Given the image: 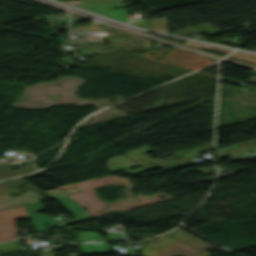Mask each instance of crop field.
I'll return each mask as SVG.
<instances>
[{"instance_id": "crop-field-1", "label": "crop field", "mask_w": 256, "mask_h": 256, "mask_svg": "<svg viewBox=\"0 0 256 256\" xmlns=\"http://www.w3.org/2000/svg\"><path fill=\"white\" fill-rule=\"evenodd\" d=\"M159 237L141 246V256H211L204 250L214 248L178 228Z\"/></svg>"}, {"instance_id": "crop-field-2", "label": "crop field", "mask_w": 256, "mask_h": 256, "mask_svg": "<svg viewBox=\"0 0 256 256\" xmlns=\"http://www.w3.org/2000/svg\"><path fill=\"white\" fill-rule=\"evenodd\" d=\"M153 151L150 147L145 146L129 151L126 154L107 159V166L110 172L133 167L143 166L151 163L162 162L163 160L151 159L144 153Z\"/></svg>"}, {"instance_id": "crop-field-3", "label": "crop field", "mask_w": 256, "mask_h": 256, "mask_svg": "<svg viewBox=\"0 0 256 256\" xmlns=\"http://www.w3.org/2000/svg\"><path fill=\"white\" fill-rule=\"evenodd\" d=\"M29 218L25 206L0 211V241L16 238L14 219Z\"/></svg>"}, {"instance_id": "crop-field-4", "label": "crop field", "mask_w": 256, "mask_h": 256, "mask_svg": "<svg viewBox=\"0 0 256 256\" xmlns=\"http://www.w3.org/2000/svg\"><path fill=\"white\" fill-rule=\"evenodd\" d=\"M44 200L43 196L33 191H26L16 197L8 195V180L0 182V210Z\"/></svg>"}, {"instance_id": "crop-field-5", "label": "crop field", "mask_w": 256, "mask_h": 256, "mask_svg": "<svg viewBox=\"0 0 256 256\" xmlns=\"http://www.w3.org/2000/svg\"><path fill=\"white\" fill-rule=\"evenodd\" d=\"M25 206L27 208L29 215H30V213H33V212L46 210L42 207L40 202L27 204ZM30 217H31V221L34 226L35 232L41 231L43 229L51 228L52 226L61 223V221H54V219H52L46 215H42V214H38V213H34V214L30 215ZM45 223L49 224L48 228H46Z\"/></svg>"}, {"instance_id": "crop-field-6", "label": "crop field", "mask_w": 256, "mask_h": 256, "mask_svg": "<svg viewBox=\"0 0 256 256\" xmlns=\"http://www.w3.org/2000/svg\"><path fill=\"white\" fill-rule=\"evenodd\" d=\"M69 197V196H68ZM67 196L55 198L54 200L58 202L65 210H67L77 221L91 219L84 210H82L78 205H76L71 199Z\"/></svg>"}, {"instance_id": "crop-field-7", "label": "crop field", "mask_w": 256, "mask_h": 256, "mask_svg": "<svg viewBox=\"0 0 256 256\" xmlns=\"http://www.w3.org/2000/svg\"><path fill=\"white\" fill-rule=\"evenodd\" d=\"M24 164H25L26 168L14 169V170H9L8 167L2 166L0 164V179L9 178V177H13V176H17V175H21V174H25V173L34 171V166L31 162V160L24 161Z\"/></svg>"}, {"instance_id": "crop-field-8", "label": "crop field", "mask_w": 256, "mask_h": 256, "mask_svg": "<svg viewBox=\"0 0 256 256\" xmlns=\"http://www.w3.org/2000/svg\"><path fill=\"white\" fill-rule=\"evenodd\" d=\"M190 31L196 32V33L208 34V35H213L218 32H221L217 29L210 27L207 24H203V25L194 26V27H190V28H186V29H182V30H177V31H172V32H168V33L175 34L178 36H186Z\"/></svg>"}, {"instance_id": "crop-field-9", "label": "crop field", "mask_w": 256, "mask_h": 256, "mask_svg": "<svg viewBox=\"0 0 256 256\" xmlns=\"http://www.w3.org/2000/svg\"><path fill=\"white\" fill-rule=\"evenodd\" d=\"M21 249H24V247L21 245V243L18 240L0 244V254L12 252L15 250H21Z\"/></svg>"}, {"instance_id": "crop-field-10", "label": "crop field", "mask_w": 256, "mask_h": 256, "mask_svg": "<svg viewBox=\"0 0 256 256\" xmlns=\"http://www.w3.org/2000/svg\"><path fill=\"white\" fill-rule=\"evenodd\" d=\"M228 58H232L235 60H239L242 62L256 65V56L255 55L245 54V53H241V52H235L232 55H230Z\"/></svg>"}, {"instance_id": "crop-field-11", "label": "crop field", "mask_w": 256, "mask_h": 256, "mask_svg": "<svg viewBox=\"0 0 256 256\" xmlns=\"http://www.w3.org/2000/svg\"><path fill=\"white\" fill-rule=\"evenodd\" d=\"M82 252L111 250L107 243L80 245Z\"/></svg>"}, {"instance_id": "crop-field-12", "label": "crop field", "mask_w": 256, "mask_h": 256, "mask_svg": "<svg viewBox=\"0 0 256 256\" xmlns=\"http://www.w3.org/2000/svg\"><path fill=\"white\" fill-rule=\"evenodd\" d=\"M184 45H188V46H191V47H194V48H198V49L203 47L205 49L219 51V52H224V53H227V54L229 52H231L230 50L225 49V48L211 46V45H206V44H201V43H196V42H191V41H187L186 43H184Z\"/></svg>"}, {"instance_id": "crop-field-13", "label": "crop field", "mask_w": 256, "mask_h": 256, "mask_svg": "<svg viewBox=\"0 0 256 256\" xmlns=\"http://www.w3.org/2000/svg\"><path fill=\"white\" fill-rule=\"evenodd\" d=\"M150 23H151L150 29L152 30H157L161 32L167 31V17L150 21Z\"/></svg>"}, {"instance_id": "crop-field-14", "label": "crop field", "mask_w": 256, "mask_h": 256, "mask_svg": "<svg viewBox=\"0 0 256 256\" xmlns=\"http://www.w3.org/2000/svg\"><path fill=\"white\" fill-rule=\"evenodd\" d=\"M80 242H95V241H102L96 232H83L78 233Z\"/></svg>"}, {"instance_id": "crop-field-15", "label": "crop field", "mask_w": 256, "mask_h": 256, "mask_svg": "<svg viewBox=\"0 0 256 256\" xmlns=\"http://www.w3.org/2000/svg\"><path fill=\"white\" fill-rule=\"evenodd\" d=\"M255 156H256V155L249 156V157H245V158H241L240 160L247 159V158H251V157H255Z\"/></svg>"}]
</instances>
